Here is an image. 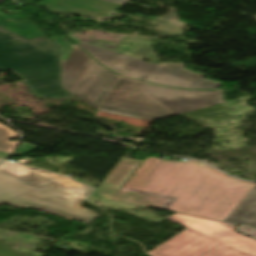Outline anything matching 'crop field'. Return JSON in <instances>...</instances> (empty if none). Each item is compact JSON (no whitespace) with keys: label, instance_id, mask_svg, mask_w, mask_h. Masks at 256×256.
Here are the masks:
<instances>
[{"label":"crop field","instance_id":"8a807250","mask_svg":"<svg viewBox=\"0 0 256 256\" xmlns=\"http://www.w3.org/2000/svg\"><path fill=\"white\" fill-rule=\"evenodd\" d=\"M9 69L38 97L74 95L62 88L59 48L22 13L0 10V70Z\"/></svg>","mask_w":256,"mask_h":256},{"label":"crop field","instance_id":"ac0d7876","mask_svg":"<svg viewBox=\"0 0 256 256\" xmlns=\"http://www.w3.org/2000/svg\"><path fill=\"white\" fill-rule=\"evenodd\" d=\"M93 189L47 171L12 163L0 165V204L31 207L90 223L99 215L81 207Z\"/></svg>","mask_w":256,"mask_h":256},{"label":"crop field","instance_id":"34b2d1b8","mask_svg":"<svg viewBox=\"0 0 256 256\" xmlns=\"http://www.w3.org/2000/svg\"><path fill=\"white\" fill-rule=\"evenodd\" d=\"M167 219L187 227L150 253L153 256H256V240L236 224L176 213Z\"/></svg>","mask_w":256,"mask_h":256},{"label":"crop field","instance_id":"412701ff","mask_svg":"<svg viewBox=\"0 0 256 256\" xmlns=\"http://www.w3.org/2000/svg\"><path fill=\"white\" fill-rule=\"evenodd\" d=\"M254 185L204 164L164 210L224 221Z\"/></svg>","mask_w":256,"mask_h":256},{"label":"crop field","instance_id":"f4fd0767","mask_svg":"<svg viewBox=\"0 0 256 256\" xmlns=\"http://www.w3.org/2000/svg\"><path fill=\"white\" fill-rule=\"evenodd\" d=\"M202 165L195 160L172 162L147 158L113 199L164 209L171 199L140 192L147 190L150 194L173 198Z\"/></svg>","mask_w":256,"mask_h":256},{"label":"crop field","instance_id":"dd49c442","mask_svg":"<svg viewBox=\"0 0 256 256\" xmlns=\"http://www.w3.org/2000/svg\"><path fill=\"white\" fill-rule=\"evenodd\" d=\"M79 45L100 63L126 77L181 88L217 89L222 84L202 79L204 74L181 69L183 64H149L83 41Z\"/></svg>","mask_w":256,"mask_h":256},{"label":"crop field","instance_id":"e52e79f7","mask_svg":"<svg viewBox=\"0 0 256 256\" xmlns=\"http://www.w3.org/2000/svg\"><path fill=\"white\" fill-rule=\"evenodd\" d=\"M61 65L63 87L97 109L119 76L101 67L78 46Z\"/></svg>","mask_w":256,"mask_h":256},{"label":"crop field","instance_id":"d8731c3e","mask_svg":"<svg viewBox=\"0 0 256 256\" xmlns=\"http://www.w3.org/2000/svg\"><path fill=\"white\" fill-rule=\"evenodd\" d=\"M98 110L144 120H157L174 115L143 94V82L119 77Z\"/></svg>","mask_w":256,"mask_h":256},{"label":"crop field","instance_id":"5a996713","mask_svg":"<svg viewBox=\"0 0 256 256\" xmlns=\"http://www.w3.org/2000/svg\"><path fill=\"white\" fill-rule=\"evenodd\" d=\"M44 6L55 12L94 18H108L122 7L102 0H46Z\"/></svg>","mask_w":256,"mask_h":256},{"label":"crop field","instance_id":"3316defc","mask_svg":"<svg viewBox=\"0 0 256 256\" xmlns=\"http://www.w3.org/2000/svg\"><path fill=\"white\" fill-rule=\"evenodd\" d=\"M142 162V160L136 159H121L119 164L92 195L112 199Z\"/></svg>","mask_w":256,"mask_h":256},{"label":"crop field","instance_id":"28ad6ade","mask_svg":"<svg viewBox=\"0 0 256 256\" xmlns=\"http://www.w3.org/2000/svg\"><path fill=\"white\" fill-rule=\"evenodd\" d=\"M152 99L156 100L157 102L161 103L163 106H165L167 109H169L171 112L175 113L176 115L222 103V97H204V98H191V97H177L176 100L173 99H167V98H162V97H157V96H151ZM160 104V105H161Z\"/></svg>","mask_w":256,"mask_h":256},{"label":"crop field","instance_id":"d1516ede","mask_svg":"<svg viewBox=\"0 0 256 256\" xmlns=\"http://www.w3.org/2000/svg\"><path fill=\"white\" fill-rule=\"evenodd\" d=\"M225 221L256 227V185Z\"/></svg>","mask_w":256,"mask_h":256},{"label":"crop field","instance_id":"22f410ed","mask_svg":"<svg viewBox=\"0 0 256 256\" xmlns=\"http://www.w3.org/2000/svg\"><path fill=\"white\" fill-rule=\"evenodd\" d=\"M144 93L173 98V99H176L177 96H192V97L222 96L221 90L219 91L179 90V89L161 87V86H157V85H153L145 82H144Z\"/></svg>","mask_w":256,"mask_h":256},{"label":"crop field","instance_id":"cbeb9de0","mask_svg":"<svg viewBox=\"0 0 256 256\" xmlns=\"http://www.w3.org/2000/svg\"><path fill=\"white\" fill-rule=\"evenodd\" d=\"M14 137H18L17 132L0 123V151L12 153L19 142L9 140Z\"/></svg>","mask_w":256,"mask_h":256},{"label":"crop field","instance_id":"5142ce71","mask_svg":"<svg viewBox=\"0 0 256 256\" xmlns=\"http://www.w3.org/2000/svg\"><path fill=\"white\" fill-rule=\"evenodd\" d=\"M0 256H25L13 249L12 246L0 241Z\"/></svg>","mask_w":256,"mask_h":256},{"label":"crop field","instance_id":"d9b57169","mask_svg":"<svg viewBox=\"0 0 256 256\" xmlns=\"http://www.w3.org/2000/svg\"><path fill=\"white\" fill-rule=\"evenodd\" d=\"M37 148H39V147L34 145V144L22 142V144L17 149V152H21V153L27 154V153H29V152L37 149Z\"/></svg>","mask_w":256,"mask_h":256},{"label":"crop field","instance_id":"733c2abd","mask_svg":"<svg viewBox=\"0 0 256 256\" xmlns=\"http://www.w3.org/2000/svg\"><path fill=\"white\" fill-rule=\"evenodd\" d=\"M237 230L240 231V232H243V233H245L247 235H250V236H252L254 238H256V229L255 228H249V227L240 226V227H238Z\"/></svg>","mask_w":256,"mask_h":256},{"label":"crop field","instance_id":"4a817a6b","mask_svg":"<svg viewBox=\"0 0 256 256\" xmlns=\"http://www.w3.org/2000/svg\"><path fill=\"white\" fill-rule=\"evenodd\" d=\"M106 1L123 5V4H125L126 2H128L129 0H106Z\"/></svg>","mask_w":256,"mask_h":256},{"label":"crop field","instance_id":"bc2a9ffb","mask_svg":"<svg viewBox=\"0 0 256 256\" xmlns=\"http://www.w3.org/2000/svg\"><path fill=\"white\" fill-rule=\"evenodd\" d=\"M8 154L6 153H0V158H5Z\"/></svg>","mask_w":256,"mask_h":256},{"label":"crop field","instance_id":"214f88e0","mask_svg":"<svg viewBox=\"0 0 256 256\" xmlns=\"http://www.w3.org/2000/svg\"><path fill=\"white\" fill-rule=\"evenodd\" d=\"M143 193H147L146 191H143Z\"/></svg>","mask_w":256,"mask_h":256},{"label":"crop field","instance_id":"92a150f3","mask_svg":"<svg viewBox=\"0 0 256 256\" xmlns=\"http://www.w3.org/2000/svg\"><path fill=\"white\" fill-rule=\"evenodd\" d=\"M3 159H0V161H2Z\"/></svg>","mask_w":256,"mask_h":256}]
</instances>
